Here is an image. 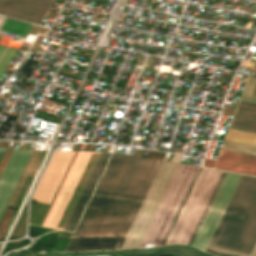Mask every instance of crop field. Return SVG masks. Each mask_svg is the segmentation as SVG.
I'll return each instance as SVG.
<instances>
[{"label":"crop field","mask_w":256,"mask_h":256,"mask_svg":"<svg viewBox=\"0 0 256 256\" xmlns=\"http://www.w3.org/2000/svg\"><path fill=\"white\" fill-rule=\"evenodd\" d=\"M161 162L113 153L64 251L119 248Z\"/></svg>","instance_id":"crop-field-1"},{"label":"crop field","mask_w":256,"mask_h":256,"mask_svg":"<svg viewBox=\"0 0 256 256\" xmlns=\"http://www.w3.org/2000/svg\"><path fill=\"white\" fill-rule=\"evenodd\" d=\"M256 242V177L243 175L206 250L249 256Z\"/></svg>","instance_id":"crop-field-2"},{"label":"crop field","mask_w":256,"mask_h":256,"mask_svg":"<svg viewBox=\"0 0 256 256\" xmlns=\"http://www.w3.org/2000/svg\"><path fill=\"white\" fill-rule=\"evenodd\" d=\"M226 174L201 169L164 245L192 244Z\"/></svg>","instance_id":"crop-field-3"},{"label":"crop field","mask_w":256,"mask_h":256,"mask_svg":"<svg viewBox=\"0 0 256 256\" xmlns=\"http://www.w3.org/2000/svg\"><path fill=\"white\" fill-rule=\"evenodd\" d=\"M200 167L178 164L138 247L161 245Z\"/></svg>","instance_id":"crop-field-4"},{"label":"crop field","mask_w":256,"mask_h":256,"mask_svg":"<svg viewBox=\"0 0 256 256\" xmlns=\"http://www.w3.org/2000/svg\"><path fill=\"white\" fill-rule=\"evenodd\" d=\"M177 164L162 162L120 248L138 246Z\"/></svg>","instance_id":"crop-field-5"},{"label":"crop field","mask_w":256,"mask_h":256,"mask_svg":"<svg viewBox=\"0 0 256 256\" xmlns=\"http://www.w3.org/2000/svg\"><path fill=\"white\" fill-rule=\"evenodd\" d=\"M242 175L228 173L193 244L205 250Z\"/></svg>","instance_id":"crop-field-6"},{"label":"crop field","mask_w":256,"mask_h":256,"mask_svg":"<svg viewBox=\"0 0 256 256\" xmlns=\"http://www.w3.org/2000/svg\"><path fill=\"white\" fill-rule=\"evenodd\" d=\"M33 151L14 149L0 177V218Z\"/></svg>","instance_id":"crop-field-7"},{"label":"crop field","mask_w":256,"mask_h":256,"mask_svg":"<svg viewBox=\"0 0 256 256\" xmlns=\"http://www.w3.org/2000/svg\"><path fill=\"white\" fill-rule=\"evenodd\" d=\"M53 0H0V14L39 24Z\"/></svg>","instance_id":"crop-field-8"},{"label":"crop field","mask_w":256,"mask_h":256,"mask_svg":"<svg viewBox=\"0 0 256 256\" xmlns=\"http://www.w3.org/2000/svg\"><path fill=\"white\" fill-rule=\"evenodd\" d=\"M108 154L109 153H102L101 156L99 155L100 158L98 157L99 160H98V162H97V164H96V166H95V168H94V170H93V172H92V174H91V176H90V178H89V180H88V182H87V184H86V186H85V188H84V190H83V192H82L64 229L70 230V231L72 230Z\"/></svg>","instance_id":"crop-field-9"},{"label":"crop field","mask_w":256,"mask_h":256,"mask_svg":"<svg viewBox=\"0 0 256 256\" xmlns=\"http://www.w3.org/2000/svg\"><path fill=\"white\" fill-rule=\"evenodd\" d=\"M229 128L256 133V107L239 104Z\"/></svg>","instance_id":"crop-field-10"},{"label":"crop field","mask_w":256,"mask_h":256,"mask_svg":"<svg viewBox=\"0 0 256 256\" xmlns=\"http://www.w3.org/2000/svg\"><path fill=\"white\" fill-rule=\"evenodd\" d=\"M225 140L256 146V134L253 133L229 129Z\"/></svg>","instance_id":"crop-field-11"},{"label":"crop field","mask_w":256,"mask_h":256,"mask_svg":"<svg viewBox=\"0 0 256 256\" xmlns=\"http://www.w3.org/2000/svg\"><path fill=\"white\" fill-rule=\"evenodd\" d=\"M18 49L0 45V76L16 54Z\"/></svg>","instance_id":"crop-field-12"},{"label":"crop field","mask_w":256,"mask_h":256,"mask_svg":"<svg viewBox=\"0 0 256 256\" xmlns=\"http://www.w3.org/2000/svg\"><path fill=\"white\" fill-rule=\"evenodd\" d=\"M221 149L256 156V147L253 146L225 141Z\"/></svg>","instance_id":"crop-field-13"},{"label":"crop field","mask_w":256,"mask_h":256,"mask_svg":"<svg viewBox=\"0 0 256 256\" xmlns=\"http://www.w3.org/2000/svg\"><path fill=\"white\" fill-rule=\"evenodd\" d=\"M255 81H256V77H251V76L248 77L246 85L244 87V90H243V93H242L241 96L249 97V98L256 97V84H255ZM254 84H255V87H254ZM253 87H254V89H253ZM252 89H253V92H252ZM251 92H252V95H251ZM250 95L253 96V97H250ZM254 99H256V98H254Z\"/></svg>","instance_id":"crop-field-14"},{"label":"crop field","mask_w":256,"mask_h":256,"mask_svg":"<svg viewBox=\"0 0 256 256\" xmlns=\"http://www.w3.org/2000/svg\"><path fill=\"white\" fill-rule=\"evenodd\" d=\"M240 100L256 103V100H254V99H249V98H243V97H241Z\"/></svg>","instance_id":"crop-field-15"},{"label":"crop field","mask_w":256,"mask_h":256,"mask_svg":"<svg viewBox=\"0 0 256 256\" xmlns=\"http://www.w3.org/2000/svg\"><path fill=\"white\" fill-rule=\"evenodd\" d=\"M5 149H6V148L0 147V159H1V157H2V155H3V153H4V151H5Z\"/></svg>","instance_id":"crop-field-16"},{"label":"crop field","mask_w":256,"mask_h":256,"mask_svg":"<svg viewBox=\"0 0 256 256\" xmlns=\"http://www.w3.org/2000/svg\"><path fill=\"white\" fill-rule=\"evenodd\" d=\"M250 256H256V245H255V247H254V249H253V251H252Z\"/></svg>","instance_id":"crop-field-17"},{"label":"crop field","mask_w":256,"mask_h":256,"mask_svg":"<svg viewBox=\"0 0 256 256\" xmlns=\"http://www.w3.org/2000/svg\"><path fill=\"white\" fill-rule=\"evenodd\" d=\"M252 71H255V72H256V67H254Z\"/></svg>","instance_id":"crop-field-18"},{"label":"crop field","mask_w":256,"mask_h":256,"mask_svg":"<svg viewBox=\"0 0 256 256\" xmlns=\"http://www.w3.org/2000/svg\"><path fill=\"white\" fill-rule=\"evenodd\" d=\"M255 66H256V64H255Z\"/></svg>","instance_id":"crop-field-19"}]
</instances>
